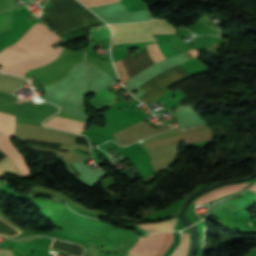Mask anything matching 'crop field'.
Returning <instances> with one entry per match:
<instances>
[{
  "instance_id": "obj_10",
  "label": "crop field",
  "mask_w": 256,
  "mask_h": 256,
  "mask_svg": "<svg viewBox=\"0 0 256 256\" xmlns=\"http://www.w3.org/2000/svg\"><path fill=\"white\" fill-rule=\"evenodd\" d=\"M15 6V0H0V13L12 11ZM11 14H0V32L11 30Z\"/></svg>"
},
{
  "instance_id": "obj_16",
  "label": "crop field",
  "mask_w": 256,
  "mask_h": 256,
  "mask_svg": "<svg viewBox=\"0 0 256 256\" xmlns=\"http://www.w3.org/2000/svg\"><path fill=\"white\" fill-rule=\"evenodd\" d=\"M249 189L256 191V184L253 185V186H252L251 188H249Z\"/></svg>"
},
{
  "instance_id": "obj_14",
  "label": "crop field",
  "mask_w": 256,
  "mask_h": 256,
  "mask_svg": "<svg viewBox=\"0 0 256 256\" xmlns=\"http://www.w3.org/2000/svg\"><path fill=\"white\" fill-rule=\"evenodd\" d=\"M88 7L116 3L120 0H80Z\"/></svg>"
},
{
  "instance_id": "obj_13",
  "label": "crop field",
  "mask_w": 256,
  "mask_h": 256,
  "mask_svg": "<svg viewBox=\"0 0 256 256\" xmlns=\"http://www.w3.org/2000/svg\"><path fill=\"white\" fill-rule=\"evenodd\" d=\"M189 246V233L182 234V244L172 256H186Z\"/></svg>"
},
{
  "instance_id": "obj_7",
  "label": "crop field",
  "mask_w": 256,
  "mask_h": 256,
  "mask_svg": "<svg viewBox=\"0 0 256 256\" xmlns=\"http://www.w3.org/2000/svg\"><path fill=\"white\" fill-rule=\"evenodd\" d=\"M172 239V232L154 233L147 237H140L129 252L132 256H161Z\"/></svg>"
},
{
  "instance_id": "obj_2",
  "label": "crop field",
  "mask_w": 256,
  "mask_h": 256,
  "mask_svg": "<svg viewBox=\"0 0 256 256\" xmlns=\"http://www.w3.org/2000/svg\"><path fill=\"white\" fill-rule=\"evenodd\" d=\"M54 6L47 8L46 19L59 32L73 30L98 21L75 0H51Z\"/></svg>"
},
{
  "instance_id": "obj_15",
  "label": "crop field",
  "mask_w": 256,
  "mask_h": 256,
  "mask_svg": "<svg viewBox=\"0 0 256 256\" xmlns=\"http://www.w3.org/2000/svg\"><path fill=\"white\" fill-rule=\"evenodd\" d=\"M2 256H14L9 250H0ZM0 254V256H1Z\"/></svg>"
},
{
  "instance_id": "obj_5",
  "label": "crop field",
  "mask_w": 256,
  "mask_h": 256,
  "mask_svg": "<svg viewBox=\"0 0 256 256\" xmlns=\"http://www.w3.org/2000/svg\"><path fill=\"white\" fill-rule=\"evenodd\" d=\"M42 122V121H41ZM15 135L66 141L70 140V133L42 127L40 120L16 116Z\"/></svg>"
},
{
  "instance_id": "obj_11",
  "label": "crop field",
  "mask_w": 256,
  "mask_h": 256,
  "mask_svg": "<svg viewBox=\"0 0 256 256\" xmlns=\"http://www.w3.org/2000/svg\"><path fill=\"white\" fill-rule=\"evenodd\" d=\"M176 223V219L159 222L155 224H146L141 225L148 233L165 231V230H173L172 226Z\"/></svg>"
},
{
  "instance_id": "obj_1",
  "label": "crop field",
  "mask_w": 256,
  "mask_h": 256,
  "mask_svg": "<svg viewBox=\"0 0 256 256\" xmlns=\"http://www.w3.org/2000/svg\"><path fill=\"white\" fill-rule=\"evenodd\" d=\"M55 32L51 33L44 23L33 26L14 46L0 53V63L13 66L22 61L40 56L57 47L52 42L59 39Z\"/></svg>"
},
{
  "instance_id": "obj_12",
  "label": "crop field",
  "mask_w": 256,
  "mask_h": 256,
  "mask_svg": "<svg viewBox=\"0 0 256 256\" xmlns=\"http://www.w3.org/2000/svg\"><path fill=\"white\" fill-rule=\"evenodd\" d=\"M146 48H147L150 56L152 57V59L155 61V63L165 59V56L160 51L157 43L151 44V45L147 46Z\"/></svg>"
},
{
  "instance_id": "obj_8",
  "label": "crop field",
  "mask_w": 256,
  "mask_h": 256,
  "mask_svg": "<svg viewBox=\"0 0 256 256\" xmlns=\"http://www.w3.org/2000/svg\"><path fill=\"white\" fill-rule=\"evenodd\" d=\"M128 78L133 77L144 69L155 64L154 61L149 56L147 50L139 53L136 56H131L130 54L122 58Z\"/></svg>"
},
{
  "instance_id": "obj_3",
  "label": "crop field",
  "mask_w": 256,
  "mask_h": 256,
  "mask_svg": "<svg viewBox=\"0 0 256 256\" xmlns=\"http://www.w3.org/2000/svg\"><path fill=\"white\" fill-rule=\"evenodd\" d=\"M14 128L15 116L0 112V149L7 155L16 149L9 139V137L14 135ZM6 171L18 176L30 172L21 153L17 149L0 162V176Z\"/></svg>"
},
{
  "instance_id": "obj_6",
  "label": "crop field",
  "mask_w": 256,
  "mask_h": 256,
  "mask_svg": "<svg viewBox=\"0 0 256 256\" xmlns=\"http://www.w3.org/2000/svg\"><path fill=\"white\" fill-rule=\"evenodd\" d=\"M185 76H187V74L184 71H182L178 66H176L172 69H169V70L155 76L154 78H152L148 82L144 83L140 87H138L147 92L139 99H141L143 102H145L147 104V103L157 99L164 92H166L167 90L164 89L165 87L170 85L172 82H174L180 78H183Z\"/></svg>"
},
{
  "instance_id": "obj_4",
  "label": "crop field",
  "mask_w": 256,
  "mask_h": 256,
  "mask_svg": "<svg viewBox=\"0 0 256 256\" xmlns=\"http://www.w3.org/2000/svg\"><path fill=\"white\" fill-rule=\"evenodd\" d=\"M110 27L115 36L114 44L155 40L149 35L154 33H175L174 27L159 20Z\"/></svg>"
},
{
  "instance_id": "obj_9",
  "label": "crop field",
  "mask_w": 256,
  "mask_h": 256,
  "mask_svg": "<svg viewBox=\"0 0 256 256\" xmlns=\"http://www.w3.org/2000/svg\"><path fill=\"white\" fill-rule=\"evenodd\" d=\"M245 185H247V183H243V184H237V185H231V186H225V187H221V188H217L213 191H211L210 193L198 198L195 203L196 204H200L203 205L215 198H219L225 195H228L230 193H234L239 191L241 188H243Z\"/></svg>"
}]
</instances>
